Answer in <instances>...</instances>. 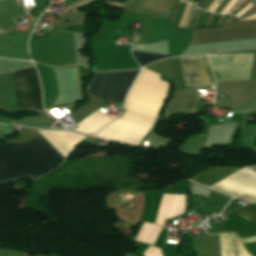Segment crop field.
<instances>
[{"instance_id":"obj_1","label":"crop field","mask_w":256,"mask_h":256,"mask_svg":"<svg viewBox=\"0 0 256 256\" xmlns=\"http://www.w3.org/2000/svg\"><path fill=\"white\" fill-rule=\"evenodd\" d=\"M66 161L42 136L0 146V183L29 176L36 180Z\"/></svg>"},{"instance_id":"obj_2","label":"crop field","mask_w":256,"mask_h":256,"mask_svg":"<svg viewBox=\"0 0 256 256\" xmlns=\"http://www.w3.org/2000/svg\"><path fill=\"white\" fill-rule=\"evenodd\" d=\"M137 73L138 71L96 74L89 94L107 102L114 100L123 102L124 96Z\"/></svg>"},{"instance_id":"obj_3","label":"crop field","mask_w":256,"mask_h":256,"mask_svg":"<svg viewBox=\"0 0 256 256\" xmlns=\"http://www.w3.org/2000/svg\"><path fill=\"white\" fill-rule=\"evenodd\" d=\"M10 74L15 86L16 108L43 111L40 84L34 68Z\"/></svg>"},{"instance_id":"obj_4","label":"crop field","mask_w":256,"mask_h":256,"mask_svg":"<svg viewBox=\"0 0 256 256\" xmlns=\"http://www.w3.org/2000/svg\"><path fill=\"white\" fill-rule=\"evenodd\" d=\"M202 86L214 85L207 56L195 57ZM194 57L179 58L186 87L201 86Z\"/></svg>"},{"instance_id":"obj_5","label":"crop field","mask_w":256,"mask_h":256,"mask_svg":"<svg viewBox=\"0 0 256 256\" xmlns=\"http://www.w3.org/2000/svg\"><path fill=\"white\" fill-rule=\"evenodd\" d=\"M239 169L240 168L212 166L192 179L211 186Z\"/></svg>"},{"instance_id":"obj_6","label":"crop field","mask_w":256,"mask_h":256,"mask_svg":"<svg viewBox=\"0 0 256 256\" xmlns=\"http://www.w3.org/2000/svg\"><path fill=\"white\" fill-rule=\"evenodd\" d=\"M133 57L135 58L136 62L140 66H144L152 61L172 57V56H165V55H158V54H151V53H143V52H135L132 51Z\"/></svg>"},{"instance_id":"obj_7","label":"crop field","mask_w":256,"mask_h":256,"mask_svg":"<svg viewBox=\"0 0 256 256\" xmlns=\"http://www.w3.org/2000/svg\"><path fill=\"white\" fill-rule=\"evenodd\" d=\"M232 212L252 221L256 222V204L250 203L240 208L233 210Z\"/></svg>"},{"instance_id":"obj_8","label":"crop field","mask_w":256,"mask_h":256,"mask_svg":"<svg viewBox=\"0 0 256 256\" xmlns=\"http://www.w3.org/2000/svg\"><path fill=\"white\" fill-rule=\"evenodd\" d=\"M251 148L256 151V137H255V139H254V142H253Z\"/></svg>"},{"instance_id":"obj_9","label":"crop field","mask_w":256,"mask_h":256,"mask_svg":"<svg viewBox=\"0 0 256 256\" xmlns=\"http://www.w3.org/2000/svg\"><path fill=\"white\" fill-rule=\"evenodd\" d=\"M43 256H60V255H57V254H46V255H43Z\"/></svg>"}]
</instances>
